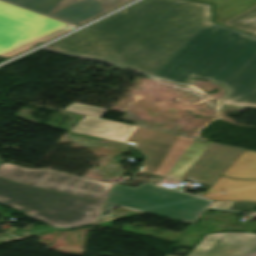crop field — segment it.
Masks as SVG:
<instances>
[{"instance_id":"13","label":"crop field","mask_w":256,"mask_h":256,"mask_svg":"<svg viewBox=\"0 0 256 256\" xmlns=\"http://www.w3.org/2000/svg\"><path fill=\"white\" fill-rule=\"evenodd\" d=\"M223 25L256 35V7L224 23Z\"/></svg>"},{"instance_id":"15","label":"crop field","mask_w":256,"mask_h":256,"mask_svg":"<svg viewBox=\"0 0 256 256\" xmlns=\"http://www.w3.org/2000/svg\"><path fill=\"white\" fill-rule=\"evenodd\" d=\"M211 207L249 211L256 209V202L214 201Z\"/></svg>"},{"instance_id":"10","label":"crop field","mask_w":256,"mask_h":256,"mask_svg":"<svg viewBox=\"0 0 256 256\" xmlns=\"http://www.w3.org/2000/svg\"><path fill=\"white\" fill-rule=\"evenodd\" d=\"M203 197L213 200L256 201V180H233L221 176Z\"/></svg>"},{"instance_id":"6","label":"crop field","mask_w":256,"mask_h":256,"mask_svg":"<svg viewBox=\"0 0 256 256\" xmlns=\"http://www.w3.org/2000/svg\"><path fill=\"white\" fill-rule=\"evenodd\" d=\"M73 28L0 2V56L10 57Z\"/></svg>"},{"instance_id":"8","label":"crop field","mask_w":256,"mask_h":256,"mask_svg":"<svg viewBox=\"0 0 256 256\" xmlns=\"http://www.w3.org/2000/svg\"><path fill=\"white\" fill-rule=\"evenodd\" d=\"M188 256H256V234H207Z\"/></svg>"},{"instance_id":"16","label":"crop field","mask_w":256,"mask_h":256,"mask_svg":"<svg viewBox=\"0 0 256 256\" xmlns=\"http://www.w3.org/2000/svg\"><path fill=\"white\" fill-rule=\"evenodd\" d=\"M115 207V205L105 203L101 214H110Z\"/></svg>"},{"instance_id":"4","label":"crop field","mask_w":256,"mask_h":256,"mask_svg":"<svg viewBox=\"0 0 256 256\" xmlns=\"http://www.w3.org/2000/svg\"><path fill=\"white\" fill-rule=\"evenodd\" d=\"M64 110L86 115L70 131L125 141L137 126L99 119L107 109L73 103ZM244 149L213 143L181 181L212 186ZM199 168L201 169L200 171Z\"/></svg>"},{"instance_id":"5","label":"crop field","mask_w":256,"mask_h":256,"mask_svg":"<svg viewBox=\"0 0 256 256\" xmlns=\"http://www.w3.org/2000/svg\"><path fill=\"white\" fill-rule=\"evenodd\" d=\"M108 203L192 224L210 201L147 183L113 186Z\"/></svg>"},{"instance_id":"3","label":"crop field","mask_w":256,"mask_h":256,"mask_svg":"<svg viewBox=\"0 0 256 256\" xmlns=\"http://www.w3.org/2000/svg\"><path fill=\"white\" fill-rule=\"evenodd\" d=\"M0 203L44 221L53 228L97 222L104 204L67 196L0 178Z\"/></svg>"},{"instance_id":"2","label":"crop field","mask_w":256,"mask_h":256,"mask_svg":"<svg viewBox=\"0 0 256 256\" xmlns=\"http://www.w3.org/2000/svg\"><path fill=\"white\" fill-rule=\"evenodd\" d=\"M151 75L213 80L228 90L223 105L256 108V39L209 23Z\"/></svg>"},{"instance_id":"14","label":"crop field","mask_w":256,"mask_h":256,"mask_svg":"<svg viewBox=\"0 0 256 256\" xmlns=\"http://www.w3.org/2000/svg\"><path fill=\"white\" fill-rule=\"evenodd\" d=\"M46 15L59 0H4Z\"/></svg>"},{"instance_id":"12","label":"crop field","mask_w":256,"mask_h":256,"mask_svg":"<svg viewBox=\"0 0 256 256\" xmlns=\"http://www.w3.org/2000/svg\"><path fill=\"white\" fill-rule=\"evenodd\" d=\"M215 3L217 22L222 24L256 6V0H200Z\"/></svg>"},{"instance_id":"9","label":"crop field","mask_w":256,"mask_h":256,"mask_svg":"<svg viewBox=\"0 0 256 256\" xmlns=\"http://www.w3.org/2000/svg\"><path fill=\"white\" fill-rule=\"evenodd\" d=\"M130 0H60L47 16L79 26Z\"/></svg>"},{"instance_id":"11","label":"crop field","mask_w":256,"mask_h":256,"mask_svg":"<svg viewBox=\"0 0 256 256\" xmlns=\"http://www.w3.org/2000/svg\"><path fill=\"white\" fill-rule=\"evenodd\" d=\"M223 176L233 179H256V152L244 150Z\"/></svg>"},{"instance_id":"7","label":"crop field","mask_w":256,"mask_h":256,"mask_svg":"<svg viewBox=\"0 0 256 256\" xmlns=\"http://www.w3.org/2000/svg\"><path fill=\"white\" fill-rule=\"evenodd\" d=\"M0 177L15 183L27 184L102 203H105L113 186L49 168L30 170L7 163L0 166Z\"/></svg>"},{"instance_id":"1","label":"crop field","mask_w":256,"mask_h":256,"mask_svg":"<svg viewBox=\"0 0 256 256\" xmlns=\"http://www.w3.org/2000/svg\"><path fill=\"white\" fill-rule=\"evenodd\" d=\"M212 21V5L144 0L51 46L150 75Z\"/></svg>"},{"instance_id":"17","label":"crop field","mask_w":256,"mask_h":256,"mask_svg":"<svg viewBox=\"0 0 256 256\" xmlns=\"http://www.w3.org/2000/svg\"><path fill=\"white\" fill-rule=\"evenodd\" d=\"M4 162L0 159V165H2Z\"/></svg>"}]
</instances>
